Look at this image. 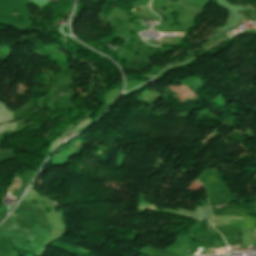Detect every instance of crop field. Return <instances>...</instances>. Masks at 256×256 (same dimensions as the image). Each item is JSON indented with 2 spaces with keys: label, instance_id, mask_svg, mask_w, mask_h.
<instances>
[{
  "label": "crop field",
  "instance_id": "obj_1",
  "mask_svg": "<svg viewBox=\"0 0 256 256\" xmlns=\"http://www.w3.org/2000/svg\"><path fill=\"white\" fill-rule=\"evenodd\" d=\"M14 218H15V216H14ZM15 220H16V218H15ZM17 221V220H16Z\"/></svg>",
  "mask_w": 256,
  "mask_h": 256
}]
</instances>
